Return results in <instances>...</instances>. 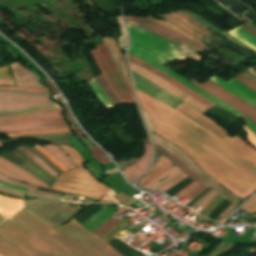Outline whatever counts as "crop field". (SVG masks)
Returning <instances> with one entry per match:
<instances>
[{
    "mask_svg": "<svg viewBox=\"0 0 256 256\" xmlns=\"http://www.w3.org/2000/svg\"><path fill=\"white\" fill-rule=\"evenodd\" d=\"M244 129H245V131L248 132V139H249V141H250L254 146H256V136H255L250 130H248L247 128L244 127Z\"/></svg>",
    "mask_w": 256,
    "mask_h": 256,
    "instance_id": "crop-field-53",
    "label": "crop field"
},
{
    "mask_svg": "<svg viewBox=\"0 0 256 256\" xmlns=\"http://www.w3.org/2000/svg\"><path fill=\"white\" fill-rule=\"evenodd\" d=\"M54 102L47 97L1 93L0 92V111L18 110L33 106L53 104Z\"/></svg>",
    "mask_w": 256,
    "mask_h": 256,
    "instance_id": "crop-field-8",
    "label": "crop field"
},
{
    "mask_svg": "<svg viewBox=\"0 0 256 256\" xmlns=\"http://www.w3.org/2000/svg\"><path fill=\"white\" fill-rule=\"evenodd\" d=\"M61 147L78 167L83 166L82 165V163H84L83 159L73 148L63 147V146Z\"/></svg>",
    "mask_w": 256,
    "mask_h": 256,
    "instance_id": "crop-field-38",
    "label": "crop field"
},
{
    "mask_svg": "<svg viewBox=\"0 0 256 256\" xmlns=\"http://www.w3.org/2000/svg\"><path fill=\"white\" fill-rule=\"evenodd\" d=\"M212 81H214L215 83L219 84L220 86H222L223 88L227 89L228 91L234 93L235 95L239 96L240 98L244 99L245 101L251 103L252 105H254L256 107V101H254L253 99H251L250 97L244 95L243 93L237 91L236 89H234L233 87L229 86L228 84H226L224 81H222L221 79L215 77L213 79H211Z\"/></svg>",
    "mask_w": 256,
    "mask_h": 256,
    "instance_id": "crop-field-28",
    "label": "crop field"
},
{
    "mask_svg": "<svg viewBox=\"0 0 256 256\" xmlns=\"http://www.w3.org/2000/svg\"><path fill=\"white\" fill-rule=\"evenodd\" d=\"M130 68L131 70L135 71L136 73H138L139 75L143 76L144 78L148 79L149 81H151L152 83L168 90L169 92H171L172 94L176 95L177 97H179L182 100H186L188 98H190L188 95H186L185 93H183L181 90H179L178 88H176L175 86H173L172 84L166 82L165 80L159 78L158 76L130 63Z\"/></svg>",
    "mask_w": 256,
    "mask_h": 256,
    "instance_id": "crop-field-14",
    "label": "crop field"
},
{
    "mask_svg": "<svg viewBox=\"0 0 256 256\" xmlns=\"http://www.w3.org/2000/svg\"><path fill=\"white\" fill-rule=\"evenodd\" d=\"M188 176H186L183 173L178 174L177 176H175L174 178L170 179L169 181H167L166 183H164L162 186H160L158 189L162 190V191H166L169 188H171L173 185H175L176 183L180 182L181 180H183L184 178H186Z\"/></svg>",
    "mask_w": 256,
    "mask_h": 256,
    "instance_id": "crop-field-40",
    "label": "crop field"
},
{
    "mask_svg": "<svg viewBox=\"0 0 256 256\" xmlns=\"http://www.w3.org/2000/svg\"><path fill=\"white\" fill-rule=\"evenodd\" d=\"M22 208V200L0 196V215L9 219Z\"/></svg>",
    "mask_w": 256,
    "mask_h": 256,
    "instance_id": "crop-field-18",
    "label": "crop field"
},
{
    "mask_svg": "<svg viewBox=\"0 0 256 256\" xmlns=\"http://www.w3.org/2000/svg\"><path fill=\"white\" fill-rule=\"evenodd\" d=\"M235 79L240 81L241 83L245 84L246 86H248L249 88H251L252 90H254L256 92V84L250 82L249 80H247L242 75H240V74L237 75Z\"/></svg>",
    "mask_w": 256,
    "mask_h": 256,
    "instance_id": "crop-field-47",
    "label": "crop field"
},
{
    "mask_svg": "<svg viewBox=\"0 0 256 256\" xmlns=\"http://www.w3.org/2000/svg\"><path fill=\"white\" fill-rule=\"evenodd\" d=\"M99 86L101 87L102 91L105 93V95L110 99V101L114 104L120 102L118 100V98L115 96V94L112 92V90L110 89L109 85L107 84V82L105 81V79L103 78V76H97L95 77Z\"/></svg>",
    "mask_w": 256,
    "mask_h": 256,
    "instance_id": "crop-field-27",
    "label": "crop field"
},
{
    "mask_svg": "<svg viewBox=\"0 0 256 256\" xmlns=\"http://www.w3.org/2000/svg\"><path fill=\"white\" fill-rule=\"evenodd\" d=\"M19 151L23 152L27 155L30 159H32L35 163H37L40 167H42L46 172H48L52 176H56L58 173L53 171L45 162H43L39 157H37L34 153L19 147Z\"/></svg>",
    "mask_w": 256,
    "mask_h": 256,
    "instance_id": "crop-field-26",
    "label": "crop field"
},
{
    "mask_svg": "<svg viewBox=\"0 0 256 256\" xmlns=\"http://www.w3.org/2000/svg\"><path fill=\"white\" fill-rule=\"evenodd\" d=\"M27 193L29 194H33V195H37V196H41V197H47V198H52V199H57L60 200L58 197L48 193V192H44V191H38V190H34L32 188H30Z\"/></svg>",
    "mask_w": 256,
    "mask_h": 256,
    "instance_id": "crop-field-46",
    "label": "crop field"
},
{
    "mask_svg": "<svg viewBox=\"0 0 256 256\" xmlns=\"http://www.w3.org/2000/svg\"><path fill=\"white\" fill-rule=\"evenodd\" d=\"M0 256H121L80 224L55 229L22 209L0 227Z\"/></svg>",
    "mask_w": 256,
    "mask_h": 256,
    "instance_id": "crop-field-2",
    "label": "crop field"
},
{
    "mask_svg": "<svg viewBox=\"0 0 256 256\" xmlns=\"http://www.w3.org/2000/svg\"><path fill=\"white\" fill-rule=\"evenodd\" d=\"M103 41H104L105 45L107 46L115 64L117 65V67H118V69H119V71L122 75V77L124 78V80L126 81L128 86H130L131 83H130V79H129L125 59L121 55L116 41H114L112 39H103Z\"/></svg>",
    "mask_w": 256,
    "mask_h": 256,
    "instance_id": "crop-field-17",
    "label": "crop field"
},
{
    "mask_svg": "<svg viewBox=\"0 0 256 256\" xmlns=\"http://www.w3.org/2000/svg\"><path fill=\"white\" fill-rule=\"evenodd\" d=\"M1 91L25 92L34 94L51 95L48 88H31V87H0Z\"/></svg>",
    "mask_w": 256,
    "mask_h": 256,
    "instance_id": "crop-field-24",
    "label": "crop field"
},
{
    "mask_svg": "<svg viewBox=\"0 0 256 256\" xmlns=\"http://www.w3.org/2000/svg\"><path fill=\"white\" fill-rule=\"evenodd\" d=\"M64 126H67V125L61 117V118H55L50 120L25 123L20 125L0 126V133H7L12 131L52 129V128H58V127H64Z\"/></svg>",
    "mask_w": 256,
    "mask_h": 256,
    "instance_id": "crop-field-12",
    "label": "crop field"
},
{
    "mask_svg": "<svg viewBox=\"0 0 256 256\" xmlns=\"http://www.w3.org/2000/svg\"><path fill=\"white\" fill-rule=\"evenodd\" d=\"M211 188L209 187L208 189H206L202 194H200L197 198H195L193 201H191L188 205L186 206H190L192 205L197 199H199L202 195H204L208 190H210Z\"/></svg>",
    "mask_w": 256,
    "mask_h": 256,
    "instance_id": "crop-field-56",
    "label": "crop field"
},
{
    "mask_svg": "<svg viewBox=\"0 0 256 256\" xmlns=\"http://www.w3.org/2000/svg\"><path fill=\"white\" fill-rule=\"evenodd\" d=\"M128 26V25H127ZM130 36L132 38V48L147 55L148 57L164 64L174 59L180 61L186 59L180 52H178L172 45H169L149 34L139 31L128 26Z\"/></svg>",
    "mask_w": 256,
    "mask_h": 256,
    "instance_id": "crop-field-4",
    "label": "crop field"
},
{
    "mask_svg": "<svg viewBox=\"0 0 256 256\" xmlns=\"http://www.w3.org/2000/svg\"><path fill=\"white\" fill-rule=\"evenodd\" d=\"M60 116H63L61 109L49 111V112L37 113V114L24 115V116L0 118V124H20V123L60 117Z\"/></svg>",
    "mask_w": 256,
    "mask_h": 256,
    "instance_id": "crop-field-16",
    "label": "crop field"
},
{
    "mask_svg": "<svg viewBox=\"0 0 256 256\" xmlns=\"http://www.w3.org/2000/svg\"><path fill=\"white\" fill-rule=\"evenodd\" d=\"M129 53L140 58L141 60L149 63L150 65L158 68L159 70L167 73L168 75L174 77L175 79H177L178 81H180L181 83H183L184 85L188 86L189 88H191L192 90H194L195 92H197L198 94L202 95L203 97L207 98L208 100L212 101L213 103L217 104L218 106L222 107L223 109L227 110L228 112H230L233 115H237L242 117L243 119H245L246 121H244L247 125V127L254 133L256 134V126L251 123L246 117H244L242 114H240L238 111L234 110L233 108L229 107L228 105L222 103L221 101L217 100L216 98L212 97L211 95H209L208 93L204 92L203 90H201L200 88H198L197 86L193 85L192 83H190L189 81H187L186 79H184L183 77L179 76L178 74H176L175 72H173L172 70L168 69L167 67L155 62L154 60L146 57L145 55L139 53L138 51L130 48Z\"/></svg>",
    "mask_w": 256,
    "mask_h": 256,
    "instance_id": "crop-field-7",
    "label": "crop field"
},
{
    "mask_svg": "<svg viewBox=\"0 0 256 256\" xmlns=\"http://www.w3.org/2000/svg\"><path fill=\"white\" fill-rule=\"evenodd\" d=\"M237 205L231 204L221 215L220 217L225 218Z\"/></svg>",
    "mask_w": 256,
    "mask_h": 256,
    "instance_id": "crop-field-54",
    "label": "crop field"
},
{
    "mask_svg": "<svg viewBox=\"0 0 256 256\" xmlns=\"http://www.w3.org/2000/svg\"><path fill=\"white\" fill-rule=\"evenodd\" d=\"M191 182H193V181L188 177L185 180H183L182 182H180L179 184H177L176 186L169 189L165 193H167L171 197V196L175 195L176 193H178L180 190H182L184 187L189 185Z\"/></svg>",
    "mask_w": 256,
    "mask_h": 256,
    "instance_id": "crop-field-41",
    "label": "crop field"
},
{
    "mask_svg": "<svg viewBox=\"0 0 256 256\" xmlns=\"http://www.w3.org/2000/svg\"><path fill=\"white\" fill-rule=\"evenodd\" d=\"M129 61L137 64L149 71H151L152 73L158 75L159 77L165 79L166 81L172 83L173 85H175L176 87L180 88L181 90H183L184 92L188 93L189 95H191L192 97H194L196 100H198L200 103H202L204 106L206 107H211L215 104L207 101L205 98L201 97L200 95H198L197 93H195L194 91L190 90L189 88H187L186 86H184L183 84L179 83L178 81H176L175 79L171 78L170 76L164 74L163 72L157 70L156 68L148 65L147 63L129 55Z\"/></svg>",
    "mask_w": 256,
    "mask_h": 256,
    "instance_id": "crop-field-11",
    "label": "crop field"
},
{
    "mask_svg": "<svg viewBox=\"0 0 256 256\" xmlns=\"http://www.w3.org/2000/svg\"><path fill=\"white\" fill-rule=\"evenodd\" d=\"M197 185L196 183H191L189 186H187L185 189H183L182 191H180L178 194H176L179 198L185 196L186 194H188L190 191H192L194 188H196Z\"/></svg>",
    "mask_w": 256,
    "mask_h": 256,
    "instance_id": "crop-field-49",
    "label": "crop field"
},
{
    "mask_svg": "<svg viewBox=\"0 0 256 256\" xmlns=\"http://www.w3.org/2000/svg\"><path fill=\"white\" fill-rule=\"evenodd\" d=\"M90 51L101 73L121 102H135L132 87H128L109 55L104 43Z\"/></svg>",
    "mask_w": 256,
    "mask_h": 256,
    "instance_id": "crop-field-5",
    "label": "crop field"
},
{
    "mask_svg": "<svg viewBox=\"0 0 256 256\" xmlns=\"http://www.w3.org/2000/svg\"><path fill=\"white\" fill-rule=\"evenodd\" d=\"M0 180L3 181V182H6V183H10V184H14V185L22 186V187H27V188L31 187V186H28V185H25V184H20V183L14 181V180H11L9 178H6V177L2 176V175H0ZM33 188H35V187H33Z\"/></svg>",
    "mask_w": 256,
    "mask_h": 256,
    "instance_id": "crop-field-52",
    "label": "crop field"
},
{
    "mask_svg": "<svg viewBox=\"0 0 256 256\" xmlns=\"http://www.w3.org/2000/svg\"><path fill=\"white\" fill-rule=\"evenodd\" d=\"M232 202L228 199H224L208 216V218L214 220L218 215H220Z\"/></svg>",
    "mask_w": 256,
    "mask_h": 256,
    "instance_id": "crop-field-39",
    "label": "crop field"
},
{
    "mask_svg": "<svg viewBox=\"0 0 256 256\" xmlns=\"http://www.w3.org/2000/svg\"><path fill=\"white\" fill-rule=\"evenodd\" d=\"M156 134L182 149L205 173L245 198L256 190V150L238 135L217 137L197 122L138 91Z\"/></svg>",
    "mask_w": 256,
    "mask_h": 256,
    "instance_id": "crop-field-1",
    "label": "crop field"
},
{
    "mask_svg": "<svg viewBox=\"0 0 256 256\" xmlns=\"http://www.w3.org/2000/svg\"><path fill=\"white\" fill-rule=\"evenodd\" d=\"M69 131L68 127L53 129V130H46V131H31V132H18L12 134H6L9 137L19 136V135H43V134H51V133H59V132H67Z\"/></svg>",
    "mask_w": 256,
    "mask_h": 256,
    "instance_id": "crop-field-32",
    "label": "crop field"
},
{
    "mask_svg": "<svg viewBox=\"0 0 256 256\" xmlns=\"http://www.w3.org/2000/svg\"><path fill=\"white\" fill-rule=\"evenodd\" d=\"M208 187L209 186L204 183V184L200 185L199 187H197L192 192H190L188 195H186L185 198H187L189 200L187 203H189L191 200H193L195 197H197L200 193H202ZM187 203H185V205Z\"/></svg>",
    "mask_w": 256,
    "mask_h": 256,
    "instance_id": "crop-field-44",
    "label": "crop field"
},
{
    "mask_svg": "<svg viewBox=\"0 0 256 256\" xmlns=\"http://www.w3.org/2000/svg\"><path fill=\"white\" fill-rule=\"evenodd\" d=\"M10 66L18 86L42 87L39 84L38 77L25 70L18 62L11 63Z\"/></svg>",
    "mask_w": 256,
    "mask_h": 256,
    "instance_id": "crop-field-15",
    "label": "crop field"
},
{
    "mask_svg": "<svg viewBox=\"0 0 256 256\" xmlns=\"http://www.w3.org/2000/svg\"><path fill=\"white\" fill-rule=\"evenodd\" d=\"M185 102H187L188 104H190L191 106H193L194 108H196L197 110H199L202 113L207 111V110H209L206 107H204L202 104H200L199 102L195 101L192 98L187 100V101H185Z\"/></svg>",
    "mask_w": 256,
    "mask_h": 256,
    "instance_id": "crop-field-48",
    "label": "crop field"
},
{
    "mask_svg": "<svg viewBox=\"0 0 256 256\" xmlns=\"http://www.w3.org/2000/svg\"><path fill=\"white\" fill-rule=\"evenodd\" d=\"M0 184L5 185V186H9V187H12V188L20 189V190H23V191H25V192L28 190V189H26V188L17 187V186H13V185H9V184L3 183V182H1V181H0Z\"/></svg>",
    "mask_w": 256,
    "mask_h": 256,
    "instance_id": "crop-field-55",
    "label": "crop field"
},
{
    "mask_svg": "<svg viewBox=\"0 0 256 256\" xmlns=\"http://www.w3.org/2000/svg\"><path fill=\"white\" fill-rule=\"evenodd\" d=\"M227 83L233 86L234 88H236L237 90L243 92L244 94L252 97L254 100H256V93L251 89H249L248 87H246L245 85L236 81L235 79L232 78Z\"/></svg>",
    "mask_w": 256,
    "mask_h": 256,
    "instance_id": "crop-field-33",
    "label": "crop field"
},
{
    "mask_svg": "<svg viewBox=\"0 0 256 256\" xmlns=\"http://www.w3.org/2000/svg\"><path fill=\"white\" fill-rule=\"evenodd\" d=\"M117 222H118V220L111 218L110 220H108L105 224H103L100 228H98L93 233H95L97 236L100 237L105 232H107L110 228H112Z\"/></svg>",
    "mask_w": 256,
    "mask_h": 256,
    "instance_id": "crop-field-42",
    "label": "crop field"
},
{
    "mask_svg": "<svg viewBox=\"0 0 256 256\" xmlns=\"http://www.w3.org/2000/svg\"><path fill=\"white\" fill-rule=\"evenodd\" d=\"M143 172L138 169L134 164L127 167L123 174L128 178V180L133 183Z\"/></svg>",
    "mask_w": 256,
    "mask_h": 256,
    "instance_id": "crop-field-36",
    "label": "crop field"
},
{
    "mask_svg": "<svg viewBox=\"0 0 256 256\" xmlns=\"http://www.w3.org/2000/svg\"><path fill=\"white\" fill-rule=\"evenodd\" d=\"M172 163L171 161H169L167 158H165L164 156H160V158L153 164V166L151 167V169L148 171V173L143 177V179L138 183V185H140L144 180H146L148 177H150L151 175H153L154 173H156L158 170H160L161 168H163L164 166L168 165Z\"/></svg>",
    "mask_w": 256,
    "mask_h": 256,
    "instance_id": "crop-field-29",
    "label": "crop field"
},
{
    "mask_svg": "<svg viewBox=\"0 0 256 256\" xmlns=\"http://www.w3.org/2000/svg\"><path fill=\"white\" fill-rule=\"evenodd\" d=\"M145 238V236L140 232L135 239L132 241V243L130 244L133 248H137L140 243L143 241V239Z\"/></svg>",
    "mask_w": 256,
    "mask_h": 256,
    "instance_id": "crop-field-51",
    "label": "crop field"
},
{
    "mask_svg": "<svg viewBox=\"0 0 256 256\" xmlns=\"http://www.w3.org/2000/svg\"><path fill=\"white\" fill-rule=\"evenodd\" d=\"M108 243L112 247H114L122 256H145L142 253L136 251L135 249L129 247L125 243L121 242L115 237L112 240H110Z\"/></svg>",
    "mask_w": 256,
    "mask_h": 256,
    "instance_id": "crop-field-22",
    "label": "crop field"
},
{
    "mask_svg": "<svg viewBox=\"0 0 256 256\" xmlns=\"http://www.w3.org/2000/svg\"><path fill=\"white\" fill-rule=\"evenodd\" d=\"M125 19L138 25V26L145 27V28L152 30L158 34H161L167 38H170L178 43L187 42L190 45H192L193 47H195L196 49H198L199 51H201V52L204 51L200 47H198L196 44H194L192 41H190L189 39L183 37L182 35L174 32L164 26L158 25V24L153 23L146 19H138V18H130V17H125Z\"/></svg>",
    "mask_w": 256,
    "mask_h": 256,
    "instance_id": "crop-field-10",
    "label": "crop field"
},
{
    "mask_svg": "<svg viewBox=\"0 0 256 256\" xmlns=\"http://www.w3.org/2000/svg\"><path fill=\"white\" fill-rule=\"evenodd\" d=\"M102 207L100 206H93L90 207L89 209H87L84 213H82L81 215H79L78 217H76L75 221H77L78 223H83L84 221H86L88 218H90L91 216H93L98 210H100Z\"/></svg>",
    "mask_w": 256,
    "mask_h": 256,
    "instance_id": "crop-field-37",
    "label": "crop field"
},
{
    "mask_svg": "<svg viewBox=\"0 0 256 256\" xmlns=\"http://www.w3.org/2000/svg\"><path fill=\"white\" fill-rule=\"evenodd\" d=\"M150 162H151V150H150V146L146 145V151L144 155L135 165L144 172V170L148 167Z\"/></svg>",
    "mask_w": 256,
    "mask_h": 256,
    "instance_id": "crop-field-35",
    "label": "crop field"
},
{
    "mask_svg": "<svg viewBox=\"0 0 256 256\" xmlns=\"http://www.w3.org/2000/svg\"><path fill=\"white\" fill-rule=\"evenodd\" d=\"M43 148L55 155L67 168H76V166L70 161L69 157L61 148L53 145H45Z\"/></svg>",
    "mask_w": 256,
    "mask_h": 256,
    "instance_id": "crop-field-23",
    "label": "crop field"
},
{
    "mask_svg": "<svg viewBox=\"0 0 256 256\" xmlns=\"http://www.w3.org/2000/svg\"><path fill=\"white\" fill-rule=\"evenodd\" d=\"M241 27H243L246 31H248L250 34L254 35L256 37V33L254 31H252L250 28H248L246 25L242 24L240 25Z\"/></svg>",
    "mask_w": 256,
    "mask_h": 256,
    "instance_id": "crop-field-57",
    "label": "crop field"
},
{
    "mask_svg": "<svg viewBox=\"0 0 256 256\" xmlns=\"http://www.w3.org/2000/svg\"><path fill=\"white\" fill-rule=\"evenodd\" d=\"M241 209L255 213L256 212V195L246 202Z\"/></svg>",
    "mask_w": 256,
    "mask_h": 256,
    "instance_id": "crop-field-45",
    "label": "crop field"
},
{
    "mask_svg": "<svg viewBox=\"0 0 256 256\" xmlns=\"http://www.w3.org/2000/svg\"><path fill=\"white\" fill-rule=\"evenodd\" d=\"M34 149L37 150L40 154H42L46 159H48L55 167L60 169L63 173L68 171V169H66L57 158H55L53 155H51L46 150L42 149L41 147H39L37 145L34 147Z\"/></svg>",
    "mask_w": 256,
    "mask_h": 256,
    "instance_id": "crop-field-30",
    "label": "crop field"
},
{
    "mask_svg": "<svg viewBox=\"0 0 256 256\" xmlns=\"http://www.w3.org/2000/svg\"><path fill=\"white\" fill-rule=\"evenodd\" d=\"M218 193L214 190L209 195H207L204 199L201 200V202L198 204L194 210H198L200 207H202L199 211V213L208 205V203L217 195Z\"/></svg>",
    "mask_w": 256,
    "mask_h": 256,
    "instance_id": "crop-field-43",
    "label": "crop field"
},
{
    "mask_svg": "<svg viewBox=\"0 0 256 256\" xmlns=\"http://www.w3.org/2000/svg\"><path fill=\"white\" fill-rule=\"evenodd\" d=\"M0 85H15L8 66L0 67Z\"/></svg>",
    "mask_w": 256,
    "mask_h": 256,
    "instance_id": "crop-field-34",
    "label": "crop field"
},
{
    "mask_svg": "<svg viewBox=\"0 0 256 256\" xmlns=\"http://www.w3.org/2000/svg\"><path fill=\"white\" fill-rule=\"evenodd\" d=\"M177 108L179 111L183 112L184 114L190 116L191 118L195 119L202 125H204L206 128L211 130L213 133H215L217 136H226L228 135L227 132H225L221 127H219L216 123L209 120L207 117H205L202 113L197 111L196 109L192 108L185 102L179 104L178 106L174 107Z\"/></svg>",
    "mask_w": 256,
    "mask_h": 256,
    "instance_id": "crop-field-13",
    "label": "crop field"
},
{
    "mask_svg": "<svg viewBox=\"0 0 256 256\" xmlns=\"http://www.w3.org/2000/svg\"><path fill=\"white\" fill-rule=\"evenodd\" d=\"M115 214L116 212L104 207L97 214H95L81 225L93 232Z\"/></svg>",
    "mask_w": 256,
    "mask_h": 256,
    "instance_id": "crop-field-19",
    "label": "crop field"
},
{
    "mask_svg": "<svg viewBox=\"0 0 256 256\" xmlns=\"http://www.w3.org/2000/svg\"><path fill=\"white\" fill-rule=\"evenodd\" d=\"M190 82L197 85L198 87L208 92L212 96L216 97L217 99L228 104L229 106L233 107L234 109L238 110L256 125V108L254 106L248 104L244 100L219 87L210 80L205 82L204 84L194 79Z\"/></svg>",
    "mask_w": 256,
    "mask_h": 256,
    "instance_id": "crop-field-6",
    "label": "crop field"
},
{
    "mask_svg": "<svg viewBox=\"0 0 256 256\" xmlns=\"http://www.w3.org/2000/svg\"><path fill=\"white\" fill-rule=\"evenodd\" d=\"M111 188L96 181L83 167L69 171L57 179L50 190L79 194L98 200Z\"/></svg>",
    "mask_w": 256,
    "mask_h": 256,
    "instance_id": "crop-field-3",
    "label": "crop field"
},
{
    "mask_svg": "<svg viewBox=\"0 0 256 256\" xmlns=\"http://www.w3.org/2000/svg\"><path fill=\"white\" fill-rule=\"evenodd\" d=\"M3 145L0 143V148ZM0 173L12 177L15 180L26 181L32 185H35L42 189H47L50 186L36 178L35 176L29 174L28 172L24 171L23 169L17 167L16 165L10 163L9 161L0 157Z\"/></svg>",
    "mask_w": 256,
    "mask_h": 256,
    "instance_id": "crop-field-9",
    "label": "crop field"
},
{
    "mask_svg": "<svg viewBox=\"0 0 256 256\" xmlns=\"http://www.w3.org/2000/svg\"><path fill=\"white\" fill-rule=\"evenodd\" d=\"M89 83H90V86H91L93 92L98 97V99L103 103V105L107 108H110L112 106L111 102L108 100V98L101 91V89L99 88L95 79H92L91 81H89Z\"/></svg>",
    "mask_w": 256,
    "mask_h": 256,
    "instance_id": "crop-field-31",
    "label": "crop field"
},
{
    "mask_svg": "<svg viewBox=\"0 0 256 256\" xmlns=\"http://www.w3.org/2000/svg\"><path fill=\"white\" fill-rule=\"evenodd\" d=\"M175 166L173 163L164 167L163 169H161L159 172H157L156 174H154L153 176H151L149 179H147L145 182H143L141 185L144 186L145 184H147L149 181L153 180L154 178H156L157 176H159L160 174H162L163 172H165L166 170H168L169 168Z\"/></svg>",
    "mask_w": 256,
    "mask_h": 256,
    "instance_id": "crop-field-50",
    "label": "crop field"
},
{
    "mask_svg": "<svg viewBox=\"0 0 256 256\" xmlns=\"http://www.w3.org/2000/svg\"><path fill=\"white\" fill-rule=\"evenodd\" d=\"M180 172L181 171L175 166V167L169 169L168 171H166L165 173H163L162 175H160L159 177H157L156 179H154L153 181L149 182L147 185H145V187H147V188H156V187H158L159 185H161L162 183H164L165 181H167L168 179H170L171 177H173L174 175H176ZM167 176H169V177L159 183L160 180L164 179Z\"/></svg>",
    "mask_w": 256,
    "mask_h": 256,
    "instance_id": "crop-field-25",
    "label": "crop field"
},
{
    "mask_svg": "<svg viewBox=\"0 0 256 256\" xmlns=\"http://www.w3.org/2000/svg\"><path fill=\"white\" fill-rule=\"evenodd\" d=\"M154 148L163 153L167 158H169L178 168H180L185 174L195 180L199 185L204 183L200 180L194 173H192L186 166H184L178 159H176L171 153L167 152L155 142H153ZM194 181V182H195Z\"/></svg>",
    "mask_w": 256,
    "mask_h": 256,
    "instance_id": "crop-field-20",
    "label": "crop field"
},
{
    "mask_svg": "<svg viewBox=\"0 0 256 256\" xmlns=\"http://www.w3.org/2000/svg\"><path fill=\"white\" fill-rule=\"evenodd\" d=\"M227 32H229L231 35H233L235 38H237L247 46L256 50V38L246 33L240 26Z\"/></svg>",
    "mask_w": 256,
    "mask_h": 256,
    "instance_id": "crop-field-21",
    "label": "crop field"
}]
</instances>
